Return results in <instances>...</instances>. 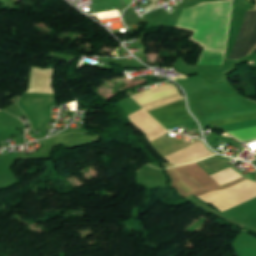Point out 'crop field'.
<instances>
[{"mask_svg": "<svg viewBox=\"0 0 256 256\" xmlns=\"http://www.w3.org/2000/svg\"><path fill=\"white\" fill-rule=\"evenodd\" d=\"M255 46L256 11H249L245 13L229 59L237 60L247 56L251 54Z\"/></svg>", "mask_w": 256, "mask_h": 256, "instance_id": "crop-field-1", "label": "crop field"}, {"mask_svg": "<svg viewBox=\"0 0 256 256\" xmlns=\"http://www.w3.org/2000/svg\"><path fill=\"white\" fill-rule=\"evenodd\" d=\"M149 113L164 127L192 118L186 110L184 100L149 111Z\"/></svg>", "mask_w": 256, "mask_h": 256, "instance_id": "crop-field-2", "label": "crop field"}, {"mask_svg": "<svg viewBox=\"0 0 256 256\" xmlns=\"http://www.w3.org/2000/svg\"><path fill=\"white\" fill-rule=\"evenodd\" d=\"M254 117H256V112H251V113H246V114H241V115H236V116H231V117H226V118L210 120L208 122L212 123L213 125H216V124H222V123H227V122L244 120V119H249V118H254Z\"/></svg>", "mask_w": 256, "mask_h": 256, "instance_id": "crop-field-3", "label": "crop field"}]
</instances>
